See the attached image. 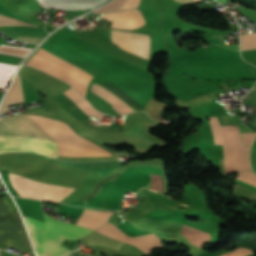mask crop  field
Wrapping results in <instances>:
<instances>
[{"mask_svg":"<svg viewBox=\"0 0 256 256\" xmlns=\"http://www.w3.org/2000/svg\"><path fill=\"white\" fill-rule=\"evenodd\" d=\"M0 135L25 136L55 142L43 130L21 114L0 119ZM10 136L0 137V153L32 151L53 157L59 155L58 146L55 143Z\"/></svg>","mask_w":256,"mask_h":256,"instance_id":"crop-field-1","label":"crop field"},{"mask_svg":"<svg viewBox=\"0 0 256 256\" xmlns=\"http://www.w3.org/2000/svg\"><path fill=\"white\" fill-rule=\"evenodd\" d=\"M44 218L45 223L24 217L38 256H63L71 252L59 245L64 238L78 239L93 232L76 225L52 220L45 213Z\"/></svg>","mask_w":256,"mask_h":256,"instance_id":"crop-field-2","label":"crop field"},{"mask_svg":"<svg viewBox=\"0 0 256 256\" xmlns=\"http://www.w3.org/2000/svg\"><path fill=\"white\" fill-rule=\"evenodd\" d=\"M208 118L210 120L213 135H214V143L223 145L225 174L235 172V169H236V172L250 169V164H249L250 146H243L242 139L240 137L237 126H229L233 156H234V162H235V169H234V162H233L228 126H221L216 116H211Z\"/></svg>","mask_w":256,"mask_h":256,"instance_id":"crop-field-3","label":"crop field"},{"mask_svg":"<svg viewBox=\"0 0 256 256\" xmlns=\"http://www.w3.org/2000/svg\"><path fill=\"white\" fill-rule=\"evenodd\" d=\"M0 243L32 248L18 211L5 196L0 197Z\"/></svg>","mask_w":256,"mask_h":256,"instance_id":"crop-field-4","label":"crop field"},{"mask_svg":"<svg viewBox=\"0 0 256 256\" xmlns=\"http://www.w3.org/2000/svg\"><path fill=\"white\" fill-rule=\"evenodd\" d=\"M149 38L150 36L148 35L111 30L112 42L128 52L138 54L147 59L149 55Z\"/></svg>","mask_w":256,"mask_h":256,"instance_id":"crop-field-5","label":"crop field"},{"mask_svg":"<svg viewBox=\"0 0 256 256\" xmlns=\"http://www.w3.org/2000/svg\"><path fill=\"white\" fill-rule=\"evenodd\" d=\"M102 227V226H101ZM97 231L115 239L125 241L130 244H134L149 254V251L155 247H164L157 236L152 233L139 237L130 238L126 236L121 230L114 227L112 224L106 222V224Z\"/></svg>","mask_w":256,"mask_h":256,"instance_id":"crop-field-6","label":"crop field"},{"mask_svg":"<svg viewBox=\"0 0 256 256\" xmlns=\"http://www.w3.org/2000/svg\"><path fill=\"white\" fill-rule=\"evenodd\" d=\"M99 18L114 21L111 27L119 29H136L145 24L139 10L108 12Z\"/></svg>","mask_w":256,"mask_h":256,"instance_id":"crop-field-7","label":"crop field"},{"mask_svg":"<svg viewBox=\"0 0 256 256\" xmlns=\"http://www.w3.org/2000/svg\"><path fill=\"white\" fill-rule=\"evenodd\" d=\"M26 65H30L36 68H39L63 81H66L70 83L77 91H79L82 95H84V92L86 90L87 85L83 83L79 78L55 67L52 65H49L35 57H31Z\"/></svg>","mask_w":256,"mask_h":256,"instance_id":"crop-field-8","label":"crop field"},{"mask_svg":"<svg viewBox=\"0 0 256 256\" xmlns=\"http://www.w3.org/2000/svg\"><path fill=\"white\" fill-rule=\"evenodd\" d=\"M30 51V48L8 46L4 44L0 45V54L24 58ZM16 68L17 67L15 66L0 64V87H5L7 81Z\"/></svg>","mask_w":256,"mask_h":256,"instance_id":"crop-field-9","label":"crop field"},{"mask_svg":"<svg viewBox=\"0 0 256 256\" xmlns=\"http://www.w3.org/2000/svg\"><path fill=\"white\" fill-rule=\"evenodd\" d=\"M107 0H38L44 8L92 9Z\"/></svg>","mask_w":256,"mask_h":256,"instance_id":"crop-field-10","label":"crop field"},{"mask_svg":"<svg viewBox=\"0 0 256 256\" xmlns=\"http://www.w3.org/2000/svg\"><path fill=\"white\" fill-rule=\"evenodd\" d=\"M112 214L113 213L110 212L84 210L76 224L95 229L103 225L108 217Z\"/></svg>","mask_w":256,"mask_h":256,"instance_id":"crop-field-11","label":"crop field"},{"mask_svg":"<svg viewBox=\"0 0 256 256\" xmlns=\"http://www.w3.org/2000/svg\"><path fill=\"white\" fill-rule=\"evenodd\" d=\"M91 91H93L94 93H96L97 95H99L100 97H102L103 99H105L110 104L117 107L119 110H121L124 113L130 112V111H136L134 108H132L131 106H129L128 104H126L125 102H123L122 100H120L115 95H113L112 93H110L109 91H107L106 89H104L103 87H101L98 84H93ZM115 107H113V108H115ZM118 109H116V110H118ZM121 111H119V112L122 113ZM124 113H122V114H124Z\"/></svg>","mask_w":256,"mask_h":256,"instance_id":"crop-field-12","label":"crop field"},{"mask_svg":"<svg viewBox=\"0 0 256 256\" xmlns=\"http://www.w3.org/2000/svg\"><path fill=\"white\" fill-rule=\"evenodd\" d=\"M23 92L21 88V81L20 76L17 74L12 86L10 87L1 107H0V113L8 111L7 105L23 102Z\"/></svg>","mask_w":256,"mask_h":256,"instance_id":"crop-field-13","label":"crop field"},{"mask_svg":"<svg viewBox=\"0 0 256 256\" xmlns=\"http://www.w3.org/2000/svg\"><path fill=\"white\" fill-rule=\"evenodd\" d=\"M84 243L90 246H101L118 250L120 246L123 244L114 239H110L106 236H103L99 233L93 232L88 236L81 239Z\"/></svg>","mask_w":256,"mask_h":256,"instance_id":"crop-field-14","label":"crop field"},{"mask_svg":"<svg viewBox=\"0 0 256 256\" xmlns=\"http://www.w3.org/2000/svg\"><path fill=\"white\" fill-rule=\"evenodd\" d=\"M63 93L67 95L74 103H76L81 108V110L86 114L93 116L95 118H97L102 114L100 112H97L95 109H93L90 106V104L72 88Z\"/></svg>","mask_w":256,"mask_h":256,"instance_id":"crop-field-15","label":"crop field"},{"mask_svg":"<svg viewBox=\"0 0 256 256\" xmlns=\"http://www.w3.org/2000/svg\"><path fill=\"white\" fill-rule=\"evenodd\" d=\"M204 40L240 57L239 45L225 44L223 36L213 35Z\"/></svg>","mask_w":256,"mask_h":256,"instance_id":"crop-field-16","label":"crop field"},{"mask_svg":"<svg viewBox=\"0 0 256 256\" xmlns=\"http://www.w3.org/2000/svg\"><path fill=\"white\" fill-rule=\"evenodd\" d=\"M242 51L256 49V33L241 35Z\"/></svg>","mask_w":256,"mask_h":256,"instance_id":"crop-field-17","label":"crop field"},{"mask_svg":"<svg viewBox=\"0 0 256 256\" xmlns=\"http://www.w3.org/2000/svg\"><path fill=\"white\" fill-rule=\"evenodd\" d=\"M3 26H29V27H36V28L38 27L36 25L0 17V27H3Z\"/></svg>","mask_w":256,"mask_h":256,"instance_id":"crop-field-18","label":"crop field"},{"mask_svg":"<svg viewBox=\"0 0 256 256\" xmlns=\"http://www.w3.org/2000/svg\"><path fill=\"white\" fill-rule=\"evenodd\" d=\"M239 175L240 178L237 177V179L256 186V176L253 175L250 171L241 172Z\"/></svg>","mask_w":256,"mask_h":256,"instance_id":"crop-field-19","label":"crop field"},{"mask_svg":"<svg viewBox=\"0 0 256 256\" xmlns=\"http://www.w3.org/2000/svg\"><path fill=\"white\" fill-rule=\"evenodd\" d=\"M180 3H186L188 2L187 0H176ZM190 2H193V1H198V0H189ZM140 0H127L123 10H126V9H133V8H136L139 4ZM122 10V9H121Z\"/></svg>","mask_w":256,"mask_h":256,"instance_id":"crop-field-20","label":"crop field"},{"mask_svg":"<svg viewBox=\"0 0 256 256\" xmlns=\"http://www.w3.org/2000/svg\"><path fill=\"white\" fill-rule=\"evenodd\" d=\"M249 253H252V251L249 249H245V248H239V249H235L234 251H232L230 253L223 254L221 256H244Z\"/></svg>","mask_w":256,"mask_h":256,"instance_id":"crop-field-21","label":"crop field"},{"mask_svg":"<svg viewBox=\"0 0 256 256\" xmlns=\"http://www.w3.org/2000/svg\"><path fill=\"white\" fill-rule=\"evenodd\" d=\"M16 39L21 40V41L38 43L42 38L28 37V36H17Z\"/></svg>","mask_w":256,"mask_h":256,"instance_id":"crop-field-22","label":"crop field"},{"mask_svg":"<svg viewBox=\"0 0 256 256\" xmlns=\"http://www.w3.org/2000/svg\"><path fill=\"white\" fill-rule=\"evenodd\" d=\"M242 136H243L245 145H250L251 141L254 137V134L253 133H247V134H242Z\"/></svg>","mask_w":256,"mask_h":256,"instance_id":"crop-field-23","label":"crop field"},{"mask_svg":"<svg viewBox=\"0 0 256 256\" xmlns=\"http://www.w3.org/2000/svg\"><path fill=\"white\" fill-rule=\"evenodd\" d=\"M216 1L221 2V3L225 2V0H216Z\"/></svg>","mask_w":256,"mask_h":256,"instance_id":"crop-field-24","label":"crop field"},{"mask_svg":"<svg viewBox=\"0 0 256 256\" xmlns=\"http://www.w3.org/2000/svg\"><path fill=\"white\" fill-rule=\"evenodd\" d=\"M147 188H149V183L147 184V186H146Z\"/></svg>","mask_w":256,"mask_h":256,"instance_id":"crop-field-25","label":"crop field"},{"mask_svg":"<svg viewBox=\"0 0 256 256\" xmlns=\"http://www.w3.org/2000/svg\"><path fill=\"white\" fill-rule=\"evenodd\" d=\"M67 256H71V255H67Z\"/></svg>","mask_w":256,"mask_h":256,"instance_id":"crop-field-26","label":"crop field"}]
</instances>
